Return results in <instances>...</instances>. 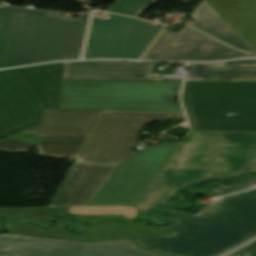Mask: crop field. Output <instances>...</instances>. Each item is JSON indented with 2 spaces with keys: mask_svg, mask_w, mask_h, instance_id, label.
<instances>
[{
  "mask_svg": "<svg viewBox=\"0 0 256 256\" xmlns=\"http://www.w3.org/2000/svg\"><path fill=\"white\" fill-rule=\"evenodd\" d=\"M62 79L160 81L155 64L133 61L64 62Z\"/></svg>",
  "mask_w": 256,
  "mask_h": 256,
  "instance_id": "obj_14",
  "label": "crop field"
},
{
  "mask_svg": "<svg viewBox=\"0 0 256 256\" xmlns=\"http://www.w3.org/2000/svg\"><path fill=\"white\" fill-rule=\"evenodd\" d=\"M88 18L0 6V67L79 58Z\"/></svg>",
  "mask_w": 256,
  "mask_h": 256,
  "instance_id": "obj_3",
  "label": "crop field"
},
{
  "mask_svg": "<svg viewBox=\"0 0 256 256\" xmlns=\"http://www.w3.org/2000/svg\"><path fill=\"white\" fill-rule=\"evenodd\" d=\"M118 162L76 160L50 207L85 206Z\"/></svg>",
  "mask_w": 256,
  "mask_h": 256,
  "instance_id": "obj_13",
  "label": "crop field"
},
{
  "mask_svg": "<svg viewBox=\"0 0 256 256\" xmlns=\"http://www.w3.org/2000/svg\"><path fill=\"white\" fill-rule=\"evenodd\" d=\"M182 97L192 129L256 130V83L185 82Z\"/></svg>",
  "mask_w": 256,
  "mask_h": 256,
  "instance_id": "obj_6",
  "label": "crop field"
},
{
  "mask_svg": "<svg viewBox=\"0 0 256 256\" xmlns=\"http://www.w3.org/2000/svg\"><path fill=\"white\" fill-rule=\"evenodd\" d=\"M70 220L69 217L60 218L56 225L50 230H41L35 227L27 220H11L6 221L7 228L10 233L27 234L42 237L62 238L77 241H98L124 238H138L172 234L161 227L147 226L146 221H138L127 224L117 223L114 219H105L98 224L85 226L83 224L72 223L68 229L75 226V232L85 229L88 235H72L64 231L63 226Z\"/></svg>",
  "mask_w": 256,
  "mask_h": 256,
  "instance_id": "obj_12",
  "label": "crop field"
},
{
  "mask_svg": "<svg viewBox=\"0 0 256 256\" xmlns=\"http://www.w3.org/2000/svg\"><path fill=\"white\" fill-rule=\"evenodd\" d=\"M63 62L0 71V140L40 123L56 109Z\"/></svg>",
  "mask_w": 256,
  "mask_h": 256,
  "instance_id": "obj_5",
  "label": "crop field"
},
{
  "mask_svg": "<svg viewBox=\"0 0 256 256\" xmlns=\"http://www.w3.org/2000/svg\"><path fill=\"white\" fill-rule=\"evenodd\" d=\"M87 136H41L40 143L32 144L13 137L0 141V150L25 152L28 145H36L40 156L76 158Z\"/></svg>",
  "mask_w": 256,
  "mask_h": 256,
  "instance_id": "obj_18",
  "label": "crop field"
},
{
  "mask_svg": "<svg viewBox=\"0 0 256 256\" xmlns=\"http://www.w3.org/2000/svg\"><path fill=\"white\" fill-rule=\"evenodd\" d=\"M178 220L174 235L134 239L141 248L178 256H216L256 234V190L231 195L195 215L163 210L153 213Z\"/></svg>",
  "mask_w": 256,
  "mask_h": 256,
  "instance_id": "obj_2",
  "label": "crop field"
},
{
  "mask_svg": "<svg viewBox=\"0 0 256 256\" xmlns=\"http://www.w3.org/2000/svg\"><path fill=\"white\" fill-rule=\"evenodd\" d=\"M100 111L45 110L42 124L24 131L36 135H89Z\"/></svg>",
  "mask_w": 256,
  "mask_h": 256,
  "instance_id": "obj_16",
  "label": "crop field"
},
{
  "mask_svg": "<svg viewBox=\"0 0 256 256\" xmlns=\"http://www.w3.org/2000/svg\"><path fill=\"white\" fill-rule=\"evenodd\" d=\"M178 142L152 145L120 161L87 206L130 205L160 169Z\"/></svg>",
  "mask_w": 256,
  "mask_h": 256,
  "instance_id": "obj_9",
  "label": "crop field"
},
{
  "mask_svg": "<svg viewBox=\"0 0 256 256\" xmlns=\"http://www.w3.org/2000/svg\"><path fill=\"white\" fill-rule=\"evenodd\" d=\"M182 82L63 80L57 109L183 112L170 104Z\"/></svg>",
  "mask_w": 256,
  "mask_h": 256,
  "instance_id": "obj_4",
  "label": "crop field"
},
{
  "mask_svg": "<svg viewBox=\"0 0 256 256\" xmlns=\"http://www.w3.org/2000/svg\"><path fill=\"white\" fill-rule=\"evenodd\" d=\"M186 81L256 82V59L218 64H191Z\"/></svg>",
  "mask_w": 256,
  "mask_h": 256,
  "instance_id": "obj_17",
  "label": "crop field"
},
{
  "mask_svg": "<svg viewBox=\"0 0 256 256\" xmlns=\"http://www.w3.org/2000/svg\"><path fill=\"white\" fill-rule=\"evenodd\" d=\"M92 17L84 58L138 59L164 25L108 13Z\"/></svg>",
  "mask_w": 256,
  "mask_h": 256,
  "instance_id": "obj_7",
  "label": "crop field"
},
{
  "mask_svg": "<svg viewBox=\"0 0 256 256\" xmlns=\"http://www.w3.org/2000/svg\"><path fill=\"white\" fill-rule=\"evenodd\" d=\"M168 119L185 118L183 114L102 112L78 159L127 160L142 126Z\"/></svg>",
  "mask_w": 256,
  "mask_h": 256,
  "instance_id": "obj_8",
  "label": "crop field"
},
{
  "mask_svg": "<svg viewBox=\"0 0 256 256\" xmlns=\"http://www.w3.org/2000/svg\"><path fill=\"white\" fill-rule=\"evenodd\" d=\"M231 256H256V241Z\"/></svg>",
  "mask_w": 256,
  "mask_h": 256,
  "instance_id": "obj_23",
  "label": "crop field"
},
{
  "mask_svg": "<svg viewBox=\"0 0 256 256\" xmlns=\"http://www.w3.org/2000/svg\"><path fill=\"white\" fill-rule=\"evenodd\" d=\"M133 239L80 243L0 235V256H167L139 250Z\"/></svg>",
  "mask_w": 256,
  "mask_h": 256,
  "instance_id": "obj_10",
  "label": "crop field"
},
{
  "mask_svg": "<svg viewBox=\"0 0 256 256\" xmlns=\"http://www.w3.org/2000/svg\"><path fill=\"white\" fill-rule=\"evenodd\" d=\"M151 1L157 2L156 0H116L108 11L138 17Z\"/></svg>",
  "mask_w": 256,
  "mask_h": 256,
  "instance_id": "obj_21",
  "label": "crop field"
},
{
  "mask_svg": "<svg viewBox=\"0 0 256 256\" xmlns=\"http://www.w3.org/2000/svg\"><path fill=\"white\" fill-rule=\"evenodd\" d=\"M65 212L78 216L85 222L97 221L103 216L115 215L123 220L137 217L147 218L131 206L73 207V208H0V221L3 217H28L42 226H48L58 213ZM0 230L2 226L0 224Z\"/></svg>",
  "mask_w": 256,
  "mask_h": 256,
  "instance_id": "obj_15",
  "label": "crop field"
},
{
  "mask_svg": "<svg viewBox=\"0 0 256 256\" xmlns=\"http://www.w3.org/2000/svg\"><path fill=\"white\" fill-rule=\"evenodd\" d=\"M256 48V0H208Z\"/></svg>",
  "mask_w": 256,
  "mask_h": 256,
  "instance_id": "obj_19",
  "label": "crop field"
},
{
  "mask_svg": "<svg viewBox=\"0 0 256 256\" xmlns=\"http://www.w3.org/2000/svg\"><path fill=\"white\" fill-rule=\"evenodd\" d=\"M187 26L175 33L163 29L141 59L170 61H215L249 57Z\"/></svg>",
  "mask_w": 256,
  "mask_h": 256,
  "instance_id": "obj_11",
  "label": "crop field"
},
{
  "mask_svg": "<svg viewBox=\"0 0 256 256\" xmlns=\"http://www.w3.org/2000/svg\"><path fill=\"white\" fill-rule=\"evenodd\" d=\"M254 183H256V176H253L245 181L238 182L228 186L224 184H215L210 186V189L215 193L226 195L237 191L249 189L251 185Z\"/></svg>",
  "mask_w": 256,
  "mask_h": 256,
  "instance_id": "obj_22",
  "label": "crop field"
},
{
  "mask_svg": "<svg viewBox=\"0 0 256 256\" xmlns=\"http://www.w3.org/2000/svg\"><path fill=\"white\" fill-rule=\"evenodd\" d=\"M192 26L229 44L256 55L251 46L240 37L204 0L191 14Z\"/></svg>",
  "mask_w": 256,
  "mask_h": 256,
  "instance_id": "obj_20",
  "label": "crop field"
},
{
  "mask_svg": "<svg viewBox=\"0 0 256 256\" xmlns=\"http://www.w3.org/2000/svg\"><path fill=\"white\" fill-rule=\"evenodd\" d=\"M184 141L134 204L147 213L167 204L181 188L208 179L234 180L256 171V131L191 130Z\"/></svg>",
  "mask_w": 256,
  "mask_h": 256,
  "instance_id": "obj_1",
  "label": "crop field"
}]
</instances>
